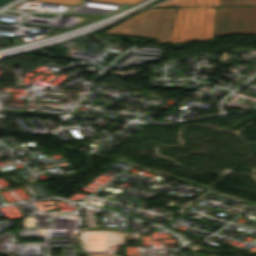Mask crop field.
<instances>
[{"instance_id": "crop-field-1", "label": "crop field", "mask_w": 256, "mask_h": 256, "mask_svg": "<svg viewBox=\"0 0 256 256\" xmlns=\"http://www.w3.org/2000/svg\"><path fill=\"white\" fill-rule=\"evenodd\" d=\"M220 6L219 0H179L178 7ZM215 8H178L169 43L213 38Z\"/></svg>"}, {"instance_id": "crop-field-2", "label": "crop field", "mask_w": 256, "mask_h": 256, "mask_svg": "<svg viewBox=\"0 0 256 256\" xmlns=\"http://www.w3.org/2000/svg\"><path fill=\"white\" fill-rule=\"evenodd\" d=\"M176 9H147L120 23L106 33L151 37L167 44Z\"/></svg>"}, {"instance_id": "crop-field-3", "label": "crop field", "mask_w": 256, "mask_h": 256, "mask_svg": "<svg viewBox=\"0 0 256 256\" xmlns=\"http://www.w3.org/2000/svg\"><path fill=\"white\" fill-rule=\"evenodd\" d=\"M237 34L235 7H218L215 37Z\"/></svg>"}, {"instance_id": "crop-field-4", "label": "crop field", "mask_w": 256, "mask_h": 256, "mask_svg": "<svg viewBox=\"0 0 256 256\" xmlns=\"http://www.w3.org/2000/svg\"><path fill=\"white\" fill-rule=\"evenodd\" d=\"M238 34L255 35L250 7H236Z\"/></svg>"}, {"instance_id": "crop-field-5", "label": "crop field", "mask_w": 256, "mask_h": 256, "mask_svg": "<svg viewBox=\"0 0 256 256\" xmlns=\"http://www.w3.org/2000/svg\"><path fill=\"white\" fill-rule=\"evenodd\" d=\"M45 2H52V3H60V4H68V5H75L82 0H39ZM93 1H100V2H112V3H121L131 5L141 0H93Z\"/></svg>"}, {"instance_id": "crop-field-6", "label": "crop field", "mask_w": 256, "mask_h": 256, "mask_svg": "<svg viewBox=\"0 0 256 256\" xmlns=\"http://www.w3.org/2000/svg\"><path fill=\"white\" fill-rule=\"evenodd\" d=\"M251 5H256V0H250ZM252 9V15H253V21H254V27H255V33H256V7H251Z\"/></svg>"}, {"instance_id": "crop-field-7", "label": "crop field", "mask_w": 256, "mask_h": 256, "mask_svg": "<svg viewBox=\"0 0 256 256\" xmlns=\"http://www.w3.org/2000/svg\"><path fill=\"white\" fill-rule=\"evenodd\" d=\"M178 0H168L158 6H177Z\"/></svg>"}, {"instance_id": "crop-field-8", "label": "crop field", "mask_w": 256, "mask_h": 256, "mask_svg": "<svg viewBox=\"0 0 256 256\" xmlns=\"http://www.w3.org/2000/svg\"><path fill=\"white\" fill-rule=\"evenodd\" d=\"M235 5H250L249 0H234Z\"/></svg>"}, {"instance_id": "crop-field-9", "label": "crop field", "mask_w": 256, "mask_h": 256, "mask_svg": "<svg viewBox=\"0 0 256 256\" xmlns=\"http://www.w3.org/2000/svg\"><path fill=\"white\" fill-rule=\"evenodd\" d=\"M221 6L234 5L233 0H220Z\"/></svg>"}]
</instances>
